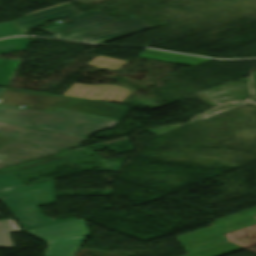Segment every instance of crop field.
Returning a JSON list of instances; mask_svg holds the SVG:
<instances>
[{
    "label": "crop field",
    "mask_w": 256,
    "mask_h": 256,
    "mask_svg": "<svg viewBox=\"0 0 256 256\" xmlns=\"http://www.w3.org/2000/svg\"><path fill=\"white\" fill-rule=\"evenodd\" d=\"M3 158H4V156H0V160L3 159Z\"/></svg>",
    "instance_id": "d9b57169"
},
{
    "label": "crop field",
    "mask_w": 256,
    "mask_h": 256,
    "mask_svg": "<svg viewBox=\"0 0 256 256\" xmlns=\"http://www.w3.org/2000/svg\"><path fill=\"white\" fill-rule=\"evenodd\" d=\"M0 198L10 207L26 230L76 219L72 217L53 221L41 213L38 206L54 202L53 180L25 186L12 172L2 174Z\"/></svg>",
    "instance_id": "ac0d7876"
},
{
    "label": "crop field",
    "mask_w": 256,
    "mask_h": 256,
    "mask_svg": "<svg viewBox=\"0 0 256 256\" xmlns=\"http://www.w3.org/2000/svg\"><path fill=\"white\" fill-rule=\"evenodd\" d=\"M14 35H23L17 27L11 22L0 23V38Z\"/></svg>",
    "instance_id": "cbeb9de0"
},
{
    "label": "crop field",
    "mask_w": 256,
    "mask_h": 256,
    "mask_svg": "<svg viewBox=\"0 0 256 256\" xmlns=\"http://www.w3.org/2000/svg\"><path fill=\"white\" fill-rule=\"evenodd\" d=\"M20 231L14 220L0 221V247L13 248L9 232Z\"/></svg>",
    "instance_id": "3316defc"
},
{
    "label": "crop field",
    "mask_w": 256,
    "mask_h": 256,
    "mask_svg": "<svg viewBox=\"0 0 256 256\" xmlns=\"http://www.w3.org/2000/svg\"><path fill=\"white\" fill-rule=\"evenodd\" d=\"M84 140V138L30 128L0 149V155L7 156L0 161V168L57 153L60 148L76 147ZM11 157L17 159L13 160Z\"/></svg>",
    "instance_id": "412701ff"
},
{
    "label": "crop field",
    "mask_w": 256,
    "mask_h": 256,
    "mask_svg": "<svg viewBox=\"0 0 256 256\" xmlns=\"http://www.w3.org/2000/svg\"><path fill=\"white\" fill-rule=\"evenodd\" d=\"M27 129L28 127L10 125L0 122V148L5 146L7 143L12 141L16 137H18Z\"/></svg>",
    "instance_id": "d8731c3e"
},
{
    "label": "crop field",
    "mask_w": 256,
    "mask_h": 256,
    "mask_svg": "<svg viewBox=\"0 0 256 256\" xmlns=\"http://www.w3.org/2000/svg\"><path fill=\"white\" fill-rule=\"evenodd\" d=\"M126 62L127 61L116 60V59H111V58H107V57L98 56L96 59H94L88 65L115 71L119 67L124 65Z\"/></svg>",
    "instance_id": "22f410ed"
},
{
    "label": "crop field",
    "mask_w": 256,
    "mask_h": 256,
    "mask_svg": "<svg viewBox=\"0 0 256 256\" xmlns=\"http://www.w3.org/2000/svg\"><path fill=\"white\" fill-rule=\"evenodd\" d=\"M30 41L26 37L11 38L0 41V53H10L26 50Z\"/></svg>",
    "instance_id": "28ad6ade"
},
{
    "label": "crop field",
    "mask_w": 256,
    "mask_h": 256,
    "mask_svg": "<svg viewBox=\"0 0 256 256\" xmlns=\"http://www.w3.org/2000/svg\"><path fill=\"white\" fill-rule=\"evenodd\" d=\"M0 121L87 138L90 133L112 128L117 122L58 109L43 112L0 106Z\"/></svg>",
    "instance_id": "34b2d1b8"
},
{
    "label": "crop field",
    "mask_w": 256,
    "mask_h": 256,
    "mask_svg": "<svg viewBox=\"0 0 256 256\" xmlns=\"http://www.w3.org/2000/svg\"><path fill=\"white\" fill-rule=\"evenodd\" d=\"M4 90H5L4 88H0V94H1Z\"/></svg>",
    "instance_id": "5142ce71"
},
{
    "label": "crop field",
    "mask_w": 256,
    "mask_h": 256,
    "mask_svg": "<svg viewBox=\"0 0 256 256\" xmlns=\"http://www.w3.org/2000/svg\"><path fill=\"white\" fill-rule=\"evenodd\" d=\"M99 11L80 14L67 3L12 20V22L24 35H27L31 29L43 25L47 20L69 17L75 22L65 26L53 22L40 29L57 38L93 43H101L154 28L133 16L116 21Z\"/></svg>",
    "instance_id": "8a807250"
},
{
    "label": "crop field",
    "mask_w": 256,
    "mask_h": 256,
    "mask_svg": "<svg viewBox=\"0 0 256 256\" xmlns=\"http://www.w3.org/2000/svg\"><path fill=\"white\" fill-rule=\"evenodd\" d=\"M48 242L47 256H74L88 235L84 219L29 230Z\"/></svg>",
    "instance_id": "f4fd0767"
},
{
    "label": "crop field",
    "mask_w": 256,
    "mask_h": 256,
    "mask_svg": "<svg viewBox=\"0 0 256 256\" xmlns=\"http://www.w3.org/2000/svg\"><path fill=\"white\" fill-rule=\"evenodd\" d=\"M256 208L214 220L223 234L256 224ZM225 238V237H224ZM216 226L195 233L178 237L179 241L190 252L226 243Z\"/></svg>",
    "instance_id": "dd49c442"
},
{
    "label": "crop field",
    "mask_w": 256,
    "mask_h": 256,
    "mask_svg": "<svg viewBox=\"0 0 256 256\" xmlns=\"http://www.w3.org/2000/svg\"><path fill=\"white\" fill-rule=\"evenodd\" d=\"M240 249H243V248L233 245L231 243H228L225 245H221V246L211 248L205 251H201L195 254H191L188 256H223Z\"/></svg>",
    "instance_id": "d1516ede"
},
{
    "label": "crop field",
    "mask_w": 256,
    "mask_h": 256,
    "mask_svg": "<svg viewBox=\"0 0 256 256\" xmlns=\"http://www.w3.org/2000/svg\"><path fill=\"white\" fill-rule=\"evenodd\" d=\"M132 92L119 86L113 85H100V86H87L81 84L73 85L64 95L121 103Z\"/></svg>",
    "instance_id": "e52e79f7"
},
{
    "label": "crop field",
    "mask_w": 256,
    "mask_h": 256,
    "mask_svg": "<svg viewBox=\"0 0 256 256\" xmlns=\"http://www.w3.org/2000/svg\"><path fill=\"white\" fill-rule=\"evenodd\" d=\"M21 60H0V86L8 87Z\"/></svg>",
    "instance_id": "5a996713"
}]
</instances>
